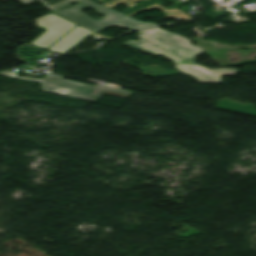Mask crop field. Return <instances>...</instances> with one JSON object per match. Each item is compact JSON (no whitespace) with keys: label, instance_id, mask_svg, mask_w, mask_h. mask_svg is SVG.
<instances>
[{"label":"crop field","instance_id":"crop-field-1","mask_svg":"<svg viewBox=\"0 0 256 256\" xmlns=\"http://www.w3.org/2000/svg\"><path fill=\"white\" fill-rule=\"evenodd\" d=\"M139 33V38L142 40L141 44H139L140 41L132 40H128L124 44L153 55L163 54L167 58L173 59L175 65L181 64L180 60L191 61L202 53L197 46H189L188 39L158 27L140 30Z\"/></svg>","mask_w":256,"mask_h":256},{"label":"crop field","instance_id":"crop-field-2","mask_svg":"<svg viewBox=\"0 0 256 256\" xmlns=\"http://www.w3.org/2000/svg\"><path fill=\"white\" fill-rule=\"evenodd\" d=\"M41 82L43 91L95 101L102 92L128 97L131 92L96 84L89 86L63 80L62 77L46 75L44 79H32Z\"/></svg>","mask_w":256,"mask_h":256},{"label":"crop field","instance_id":"crop-field-3","mask_svg":"<svg viewBox=\"0 0 256 256\" xmlns=\"http://www.w3.org/2000/svg\"><path fill=\"white\" fill-rule=\"evenodd\" d=\"M88 7L92 8L93 10H95L105 16L100 20H94V19L89 18L86 14L79 12ZM54 13L66 18V19H69L79 25H82L90 30H93L97 27H100L104 24H107L111 21H114L118 18L125 16L120 12L106 8V7H104L98 3H95L91 0H81L76 5L69 6L62 10H56V11H54Z\"/></svg>","mask_w":256,"mask_h":256},{"label":"crop field","instance_id":"crop-field-4","mask_svg":"<svg viewBox=\"0 0 256 256\" xmlns=\"http://www.w3.org/2000/svg\"><path fill=\"white\" fill-rule=\"evenodd\" d=\"M37 26L47 29L43 35L34 40L31 44L46 49L67 31H69L75 24L64 20L52 13L36 19Z\"/></svg>","mask_w":256,"mask_h":256},{"label":"crop field","instance_id":"crop-field-5","mask_svg":"<svg viewBox=\"0 0 256 256\" xmlns=\"http://www.w3.org/2000/svg\"><path fill=\"white\" fill-rule=\"evenodd\" d=\"M176 69L181 72L191 75L201 81L202 83H211V82H222L221 75L236 73L235 69H209L207 67L201 66L199 64H181L177 65ZM222 71L223 73H220Z\"/></svg>","mask_w":256,"mask_h":256},{"label":"crop field","instance_id":"crop-field-6","mask_svg":"<svg viewBox=\"0 0 256 256\" xmlns=\"http://www.w3.org/2000/svg\"><path fill=\"white\" fill-rule=\"evenodd\" d=\"M91 33L92 31L77 25L75 29L49 48V50L63 54Z\"/></svg>","mask_w":256,"mask_h":256},{"label":"crop field","instance_id":"crop-field-7","mask_svg":"<svg viewBox=\"0 0 256 256\" xmlns=\"http://www.w3.org/2000/svg\"><path fill=\"white\" fill-rule=\"evenodd\" d=\"M113 24H117L116 26L117 27H121V28H124V29H128V30H132V29H138V28H143V27H149V26H155L156 24L154 23H144L142 21H138L132 17H128V16H125L121 19H118L114 22H111L107 25H104L100 28H97L93 31L95 32H98L108 26H112ZM115 26V25H114Z\"/></svg>","mask_w":256,"mask_h":256},{"label":"crop field","instance_id":"crop-field-8","mask_svg":"<svg viewBox=\"0 0 256 256\" xmlns=\"http://www.w3.org/2000/svg\"><path fill=\"white\" fill-rule=\"evenodd\" d=\"M98 1L104 3V5L106 7H109V8H112V7L116 6V5H119V4L123 3V4H125V5L130 7L126 11L122 12V13L127 15V14H129V13H131V12L137 10V9H140L142 7H145V6H148L150 4H153V3H155V2H157L159 0H147V1H145V2H143L141 4H138L136 6H134L135 3L140 1V0H138V1H135V0H130V1H127V0H98ZM133 1H135V2H133ZM131 2H133V3H131ZM129 3H131V4H129Z\"/></svg>","mask_w":256,"mask_h":256},{"label":"crop field","instance_id":"crop-field-9","mask_svg":"<svg viewBox=\"0 0 256 256\" xmlns=\"http://www.w3.org/2000/svg\"><path fill=\"white\" fill-rule=\"evenodd\" d=\"M152 7L157 8V9H159V10H161V11L166 12V14L164 15L165 17L177 18V19H187V18L190 17V16L185 15L184 12H182V11L176 9V8H173V9H170V10H166V8L160 6V5L157 4V3H155V4H153V5H150V6H148V7H145V8H143V9H140V10H138V11H136V12L130 14L129 16H132V15H134V14H136V13L142 11V10L149 9V8H152ZM174 12H181V13L174 14Z\"/></svg>","mask_w":256,"mask_h":256},{"label":"crop field","instance_id":"crop-field-10","mask_svg":"<svg viewBox=\"0 0 256 256\" xmlns=\"http://www.w3.org/2000/svg\"><path fill=\"white\" fill-rule=\"evenodd\" d=\"M40 2H42L44 4V6L52 11L56 10V9H59V8H63L65 6H68L76 1H79V0H63L61 2H58V3H55V4H51L49 5L47 1L45 0H39Z\"/></svg>","mask_w":256,"mask_h":256},{"label":"crop field","instance_id":"crop-field-11","mask_svg":"<svg viewBox=\"0 0 256 256\" xmlns=\"http://www.w3.org/2000/svg\"><path fill=\"white\" fill-rule=\"evenodd\" d=\"M17 1L27 5V4L31 3V2H33L34 0H17Z\"/></svg>","mask_w":256,"mask_h":256},{"label":"crop field","instance_id":"crop-field-12","mask_svg":"<svg viewBox=\"0 0 256 256\" xmlns=\"http://www.w3.org/2000/svg\"><path fill=\"white\" fill-rule=\"evenodd\" d=\"M92 34H94V35L92 36ZM92 34H91V37L107 38V39H109V37L100 36V35H98V34H96V33H92Z\"/></svg>","mask_w":256,"mask_h":256}]
</instances>
